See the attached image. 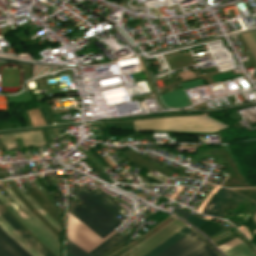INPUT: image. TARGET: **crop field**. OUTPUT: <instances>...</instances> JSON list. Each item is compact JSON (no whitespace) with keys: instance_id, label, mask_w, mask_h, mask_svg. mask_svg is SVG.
<instances>
[{"instance_id":"crop-field-1","label":"crop field","mask_w":256,"mask_h":256,"mask_svg":"<svg viewBox=\"0 0 256 256\" xmlns=\"http://www.w3.org/2000/svg\"><path fill=\"white\" fill-rule=\"evenodd\" d=\"M74 184L75 185L72 187L78 192L73 193L86 206L81 207L76 201L68 199L67 211L74 215L79 221L102 238L113 231V228L122 223L115 216L96 203L76 183Z\"/></svg>"},{"instance_id":"crop-field-2","label":"crop field","mask_w":256,"mask_h":256,"mask_svg":"<svg viewBox=\"0 0 256 256\" xmlns=\"http://www.w3.org/2000/svg\"><path fill=\"white\" fill-rule=\"evenodd\" d=\"M5 191L14 199V201L21 207V209L29 216L24 214L22 211L10 206L7 201L0 194V200L6 205V207L19 219V221L41 242H43L51 251L57 256L60 253L59 238L50 232L20 201V199L8 188Z\"/></svg>"},{"instance_id":"crop-field-3","label":"crop field","mask_w":256,"mask_h":256,"mask_svg":"<svg viewBox=\"0 0 256 256\" xmlns=\"http://www.w3.org/2000/svg\"><path fill=\"white\" fill-rule=\"evenodd\" d=\"M115 233L117 232L114 230L110 235L102 239L67 212L66 237L87 253Z\"/></svg>"},{"instance_id":"crop-field-4","label":"crop field","mask_w":256,"mask_h":256,"mask_svg":"<svg viewBox=\"0 0 256 256\" xmlns=\"http://www.w3.org/2000/svg\"><path fill=\"white\" fill-rule=\"evenodd\" d=\"M213 250L193 231L158 256H212Z\"/></svg>"},{"instance_id":"crop-field-5","label":"crop field","mask_w":256,"mask_h":256,"mask_svg":"<svg viewBox=\"0 0 256 256\" xmlns=\"http://www.w3.org/2000/svg\"><path fill=\"white\" fill-rule=\"evenodd\" d=\"M181 89L160 95L163 102L170 107H182L191 104L190 99L183 89L203 85L201 79L181 83Z\"/></svg>"},{"instance_id":"crop-field-6","label":"crop field","mask_w":256,"mask_h":256,"mask_svg":"<svg viewBox=\"0 0 256 256\" xmlns=\"http://www.w3.org/2000/svg\"><path fill=\"white\" fill-rule=\"evenodd\" d=\"M2 143L7 145L8 149L15 148L13 138L21 137L25 146L30 144H35L36 146H40L44 144L42 132L31 131V132H19V133H7L0 135Z\"/></svg>"},{"instance_id":"crop-field-7","label":"crop field","mask_w":256,"mask_h":256,"mask_svg":"<svg viewBox=\"0 0 256 256\" xmlns=\"http://www.w3.org/2000/svg\"><path fill=\"white\" fill-rule=\"evenodd\" d=\"M229 198L238 202L242 198V196L221 187L202 213L217 216V214L220 212V210Z\"/></svg>"},{"instance_id":"crop-field-8","label":"crop field","mask_w":256,"mask_h":256,"mask_svg":"<svg viewBox=\"0 0 256 256\" xmlns=\"http://www.w3.org/2000/svg\"><path fill=\"white\" fill-rule=\"evenodd\" d=\"M1 216L42 256H51L45 249H43L1 206Z\"/></svg>"},{"instance_id":"crop-field-9","label":"crop field","mask_w":256,"mask_h":256,"mask_svg":"<svg viewBox=\"0 0 256 256\" xmlns=\"http://www.w3.org/2000/svg\"><path fill=\"white\" fill-rule=\"evenodd\" d=\"M85 192H87L95 201H97L100 205L114 214L116 217L119 214L123 219H126L123 214L119 211L122 209L118 205H116L112 200H110L106 195H104L98 188L90 191L84 185L80 186Z\"/></svg>"},{"instance_id":"crop-field-10","label":"crop field","mask_w":256,"mask_h":256,"mask_svg":"<svg viewBox=\"0 0 256 256\" xmlns=\"http://www.w3.org/2000/svg\"><path fill=\"white\" fill-rule=\"evenodd\" d=\"M190 231H192L189 227L186 225L182 227L178 232H176L173 236L170 238L166 239L162 243H160L158 246L150 250L148 253H146L143 256H156L166 248H168L170 245L178 241L180 238L188 234Z\"/></svg>"},{"instance_id":"crop-field-11","label":"crop field","mask_w":256,"mask_h":256,"mask_svg":"<svg viewBox=\"0 0 256 256\" xmlns=\"http://www.w3.org/2000/svg\"><path fill=\"white\" fill-rule=\"evenodd\" d=\"M0 226L24 249H26L32 256H41L35 251L1 216Z\"/></svg>"},{"instance_id":"crop-field-12","label":"crop field","mask_w":256,"mask_h":256,"mask_svg":"<svg viewBox=\"0 0 256 256\" xmlns=\"http://www.w3.org/2000/svg\"><path fill=\"white\" fill-rule=\"evenodd\" d=\"M128 236V235H127ZM127 236L125 237H121L118 233L115 234L114 236H112L110 239H108L107 241H105L104 243H102L101 245H99L97 248H95L94 250H92L90 253L91 256H99L100 254H102L103 252H105L107 249H109L111 246H113L114 244L120 242L121 240L127 238Z\"/></svg>"},{"instance_id":"crop-field-13","label":"crop field","mask_w":256,"mask_h":256,"mask_svg":"<svg viewBox=\"0 0 256 256\" xmlns=\"http://www.w3.org/2000/svg\"><path fill=\"white\" fill-rule=\"evenodd\" d=\"M227 256H256L252 254L243 242L224 251Z\"/></svg>"},{"instance_id":"crop-field-14","label":"crop field","mask_w":256,"mask_h":256,"mask_svg":"<svg viewBox=\"0 0 256 256\" xmlns=\"http://www.w3.org/2000/svg\"><path fill=\"white\" fill-rule=\"evenodd\" d=\"M0 236L21 256H31L27 251L21 248L13 239H11L6 232L0 227Z\"/></svg>"},{"instance_id":"crop-field-15","label":"crop field","mask_w":256,"mask_h":256,"mask_svg":"<svg viewBox=\"0 0 256 256\" xmlns=\"http://www.w3.org/2000/svg\"><path fill=\"white\" fill-rule=\"evenodd\" d=\"M14 185L20 190V188L16 185L15 182H13ZM21 191V190H20ZM22 192V191H21ZM20 192V193H21ZM23 193V192H22ZM21 193V194H22ZM24 194V193H23ZM22 194V195H23ZM24 196L35 206V208L58 230L60 231V226L35 202V200L30 196H26L24 194ZM33 206V207H34Z\"/></svg>"},{"instance_id":"crop-field-16","label":"crop field","mask_w":256,"mask_h":256,"mask_svg":"<svg viewBox=\"0 0 256 256\" xmlns=\"http://www.w3.org/2000/svg\"><path fill=\"white\" fill-rule=\"evenodd\" d=\"M198 229L202 230L209 237L224 228L215 222L208 221Z\"/></svg>"},{"instance_id":"crop-field-17","label":"crop field","mask_w":256,"mask_h":256,"mask_svg":"<svg viewBox=\"0 0 256 256\" xmlns=\"http://www.w3.org/2000/svg\"><path fill=\"white\" fill-rule=\"evenodd\" d=\"M242 36H243L246 44L248 45L250 51L252 52L253 56L256 59V43H255L254 39L252 38L250 32L243 33Z\"/></svg>"},{"instance_id":"crop-field-18","label":"crop field","mask_w":256,"mask_h":256,"mask_svg":"<svg viewBox=\"0 0 256 256\" xmlns=\"http://www.w3.org/2000/svg\"><path fill=\"white\" fill-rule=\"evenodd\" d=\"M67 251H69L74 256H90L70 241H68Z\"/></svg>"},{"instance_id":"crop-field-19","label":"crop field","mask_w":256,"mask_h":256,"mask_svg":"<svg viewBox=\"0 0 256 256\" xmlns=\"http://www.w3.org/2000/svg\"><path fill=\"white\" fill-rule=\"evenodd\" d=\"M186 220H188L191 224H193L197 228L206 222L205 220H202L192 214Z\"/></svg>"},{"instance_id":"crop-field-20","label":"crop field","mask_w":256,"mask_h":256,"mask_svg":"<svg viewBox=\"0 0 256 256\" xmlns=\"http://www.w3.org/2000/svg\"><path fill=\"white\" fill-rule=\"evenodd\" d=\"M235 238H237V237H235L234 235L230 234V235H228V236H226V237H224V238H222V239H220V240H218V241H216L214 243L219 247V246H221V245H223V244H225V243H227V242H229V241H231V240H233Z\"/></svg>"},{"instance_id":"crop-field-21","label":"crop field","mask_w":256,"mask_h":256,"mask_svg":"<svg viewBox=\"0 0 256 256\" xmlns=\"http://www.w3.org/2000/svg\"><path fill=\"white\" fill-rule=\"evenodd\" d=\"M0 244L3 245L11 254H13L14 256H20L16 251H14L6 242H4L1 238H0Z\"/></svg>"},{"instance_id":"crop-field-22","label":"crop field","mask_w":256,"mask_h":256,"mask_svg":"<svg viewBox=\"0 0 256 256\" xmlns=\"http://www.w3.org/2000/svg\"><path fill=\"white\" fill-rule=\"evenodd\" d=\"M181 210H182V209H181ZM181 210L175 208V209H173L172 211H174V212H176V213H178V214L184 215V216L182 217V218H184V219H185L187 216L190 215V213H187V212H184V211H181Z\"/></svg>"},{"instance_id":"crop-field-23","label":"crop field","mask_w":256,"mask_h":256,"mask_svg":"<svg viewBox=\"0 0 256 256\" xmlns=\"http://www.w3.org/2000/svg\"><path fill=\"white\" fill-rule=\"evenodd\" d=\"M0 256H12L0 245Z\"/></svg>"},{"instance_id":"crop-field-24","label":"crop field","mask_w":256,"mask_h":256,"mask_svg":"<svg viewBox=\"0 0 256 256\" xmlns=\"http://www.w3.org/2000/svg\"><path fill=\"white\" fill-rule=\"evenodd\" d=\"M65 256H73V255H71L69 252L66 251V255Z\"/></svg>"},{"instance_id":"crop-field-25","label":"crop field","mask_w":256,"mask_h":256,"mask_svg":"<svg viewBox=\"0 0 256 256\" xmlns=\"http://www.w3.org/2000/svg\"><path fill=\"white\" fill-rule=\"evenodd\" d=\"M254 32V31H251ZM252 35L254 36V38L256 39V32L252 33Z\"/></svg>"},{"instance_id":"crop-field-26","label":"crop field","mask_w":256,"mask_h":256,"mask_svg":"<svg viewBox=\"0 0 256 256\" xmlns=\"http://www.w3.org/2000/svg\"><path fill=\"white\" fill-rule=\"evenodd\" d=\"M253 219L256 222V213L254 214Z\"/></svg>"},{"instance_id":"crop-field-27","label":"crop field","mask_w":256,"mask_h":256,"mask_svg":"<svg viewBox=\"0 0 256 256\" xmlns=\"http://www.w3.org/2000/svg\"><path fill=\"white\" fill-rule=\"evenodd\" d=\"M213 256H217V255L215 254V255H213Z\"/></svg>"}]
</instances>
